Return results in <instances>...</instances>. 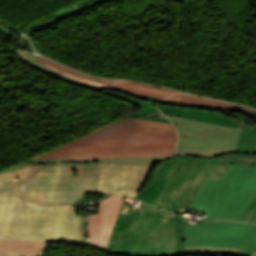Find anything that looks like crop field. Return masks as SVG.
Listing matches in <instances>:
<instances>
[{"instance_id": "crop-field-1", "label": "crop field", "mask_w": 256, "mask_h": 256, "mask_svg": "<svg viewBox=\"0 0 256 256\" xmlns=\"http://www.w3.org/2000/svg\"><path fill=\"white\" fill-rule=\"evenodd\" d=\"M155 165L21 162L0 171V237L28 238L32 204H72L87 192L132 197Z\"/></svg>"}, {"instance_id": "crop-field-2", "label": "crop field", "mask_w": 256, "mask_h": 256, "mask_svg": "<svg viewBox=\"0 0 256 256\" xmlns=\"http://www.w3.org/2000/svg\"><path fill=\"white\" fill-rule=\"evenodd\" d=\"M176 141L173 124L124 119L109 123L36 157L155 156L174 153Z\"/></svg>"}, {"instance_id": "crop-field-3", "label": "crop field", "mask_w": 256, "mask_h": 256, "mask_svg": "<svg viewBox=\"0 0 256 256\" xmlns=\"http://www.w3.org/2000/svg\"><path fill=\"white\" fill-rule=\"evenodd\" d=\"M228 166L215 159H170L159 164L146 189L133 198L171 211L190 202L206 176L219 179Z\"/></svg>"}, {"instance_id": "crop-field-4", "label": "crop field", "mask_w": 256, "mask_h": 256, "mask_svg": "<svg viewBox=\"0 0 256 256\" xmlns=\"http://www.w3.org/2000/svg\"><path fill=\"white\" fill-rule=\"evenodd\" d=\"M256 195V166L231 164L219 180L206 177L189 208L208 214L206 219L239 221Z\"/></svg>"}, {"instance_id": "crop-field-5", "label": "crop field", "mask_w": 256, "mask_h": 256, "mask_svg": "<svg viewBox=\"0 0 256 256\" xmlns=\"http://www.w3.org/2000/svg\"><path fill=\"white\" fill-rule=\"evenodd\" d=\"M185 255L256 253V225L231 221L184 224Z\"/></svg>"}, {"instance_id": "crop-field-6", "label": "crop field", "mask_w": 256, "mask_h": 256, "mask_svg": "<svg viewBox=\"0 0 256 256\" xmlns=\"http://www.w3.org/2000/svg\"><path fill=\"white\" fill-rule=\"evenodd\" d=\"M178 129V156L214 158L228 152L235 153L240 131L248 123L240 121L237 128L166 115Z\"/></svg>"}, {"instance_id": "crop-field-7", "label": "crop field", "mask_w": 256, "mask_h": 256, "mask_svg": "<svg viewBox=\"0 0 256 256\" xmlns=\"http://www.w3.org/2000/svg\"><path fill=\"white\" fill-rule=\"evenodd\" d=\"M29 239L85 243V217L71 205H33Z\"/></svg>"}, {"instance_id": "crop-field-8", "label": "crop field", "mask_w": 256, "mask_h": 256, "mask_svg": "<svg viewBox=\"0 0 256 256\" xmlns=\"http://www.w3.org/2000/svg\"><path fill=\"white\" fill-rule=\"evenodd\" d=\"M175 216L158 209L148 230L133 231L129 256H175Z\"/></svg>"}, {"instance_id": "crop-field-9", "label": "crop field", "mask_w": 256, "mask_h": 256, "mask_svg": "<svg viewBox=\"0 0 256 256\" xmlns=\"http://www.w3.org/2000/svg\"><path fill=\"white\" fill-rule=\"evenodd\" d=\"M124 197H110L99 201V211L88 215V242L99 249L105 250L121 208Z\"/></svg>"}, {"instance_id": "crop-field-10", "label": "crop field", "mask_w": 256, "mask_h": 256, "mask_svg": "<svg viewBox=\"0 0 256 256\" xmlns=\"http://www.w3.org/2000/svg\"><path fill=\"white\" fill-rule=\"evenodd\" d=\"M156 211L157 208L141 203L127 230L112 232L107 251L128 256L132 230L147 229Z\"/></svg>"}, {"instance_id": "crop-field-11", "label": "crop field", "mask_w": 256, "mask_h": 256, "mask_svg": "<svg viewBox=\"0 0 256 256\" xmlns=\"http://www.w3.org/2000/svg\"><path fill=\"white\" fill-rule=\"evenodd\" d=\"M160 103L172 106H189L196 108H203L217 111L218 107L228 109L231 111L241 112L246 115H251L253 110L240 107L238 105L213 101L208 99L199 98L193 95H179L170 97Z\"/></svg>"}, {"instance_id": "crop-field-12", "label": "crop field", "mask_w": 256, "mask_h": 256, "mask_svg": "<svg viewBox=\"0 0 256 256\" xmlns=\"http://www.w3.org/2000/svg\"><path fill=\"white\" fill-rule=\"evenodd\" d=\"M159 109L164 112L170 111V115H176L186 118H192L212 123H217L229 127H236L235 122L236 119H230L222 115L221 113L203 110V109H196V108H189V107H171V106H164L160 105Z\"/></svg>"}, {"instance_id": "crop-field-13", "label": "crop field", "mask_w": 256, "mask_h": 256, "mask_svg": "<svg viewBox=\"0 0 256 256\" xmlns=\"http://www.w3.org/2000/svg\"><path fill=\"white\" fill-rule=\"evenodd\" d=\"M45 241L0 239V256H45Z\"/></svg>"}, {"instance_id": "crop-field-14", "label": "crop field", "mask_w": 256, "mask_h": 256, "mask_svg": "<svg viewBox=\"0 0 256 256\" xmlns=\"http://www.w3.org/2000/svg\"><path fill=\"white\" fill-rule=\"evenodd\" d=\"M172 157H174L173 154L160 155L155 157H118V158H84V159L32 158L28 161L36 164L74 163V162H91V161H114L119 163H160Z\"/></svg>"}, {"instance_id": "crop-field-15", "label": "crop field", "mask_w": 256, "mask_h": 256, "mask_svg": "<svg viewBox=\"0 0 256 256\" xmlns=\"http://www.w3.org/2000/svg\"><path fill=\"white\" fill-rule=\"evenodd\" d=\"M104 93L141 107L142 109L132 114L135 116L146 115V114L158 111L156 108L150 105L161 100V99L151 98V97L119 90L109 86L105 89Z\"/></svg>"}, {"instance_id": "crop-field-16", "label": "crop field", "mask_w": 256, "mask_h": 256, "mask_svg": "<svg viewBox=\"0 0 256 256\" xmlns=\"http://www.w3.org/2000/svg\"><path fill=\"white\" fill-rule=\"evenodd\" d=\"M109 86L161 99H165L171 95L181 93L177 91L165 90L143 84L119 80H111Z\"/></svg>"}, {"instance_id": "crop-field-17", "label": "crop field", "mask_w": 256, "mask_h": 256, "mask_svg": "<svg viewBox=\"0 0 256 256\" xmlns=\"http://www.w3.org/2000/svg\"><path fill=\"white\" fill-rule=\"evenodd\" d=\"M215 159L221 160L226 163H239V164H250V165H256V155L252 154H226L219 156ZM240 221H246V222H255L256 223V197L253 200V202L250 204L248 209L243 214Z\"/></svg>"}, {"instance_id": "crop-field-18", "label": "crop field", "mask_w": 256, "mask_h": 256, "mask_svg": "<svg viewBox=\"0 0 256 256\" xmlns=\"http://www.w3.org/2000/svg\"><path fill=\"white\" fill-rule=\"evenodd\" d=\"M14 52L26 64L32 66L33 68H35V69H37V70H39L41 72H44L46 74L52 75V76H54L56 78H59V79H61L63 81H67V82H69L71 84H74V85H77V86H80V87L88 88V89H91V90H96V91H99L101 93L105 89L103 87L92 86V85H88L86 83L78 82V81H76V80H74L72 78H69V77H67L65 75H62V74H60L58 72H55V71H53V70H51V69H49V68H47V67H45V66H43V65H41L39 63L34 62L36 59H38L39 56H36L34 54H27V53H22V52H16V51H14Z\"/></svg>"}, {"instance_id": "crop-field-19", "label": "crop field", "mask_w": 256, "mask_h": 256, "mask_svg": "<svg viewBox=\"0 0 256 256\" xmlns=\"http://www.w3.org/2000/svg\"><path fill=\"white\" fill-rule=\"evenodd\" d=\"M36 62H39L45 66H48L62 74H65L69 77H72L78 81H82V82H86L88 84H93V85H98V86H103V87H106L107 83H108V80H103V79H95V78H92V77H89V76H86V75H83V74H80V73H77L75 71H72L68 68H65V67H62L56 63H51L43 58H39L38 60H36Z\"/></svg>"}, {"instance_id": "crop-field-20", "label": "crop field", "mask_w": 256, "mask_h": 256, "mask_svg": "<svg viewBox=\"0 0 256 256\" xmlns=\"http://www.w3.org/2000/svg\"><path fill=\"white\" fill-rule=\"evenodd\" d=\"M236 153L256 154V125L253 124L250 130L242 129Z\"/></svg>"}, {"instance_id": "crop-field-21", "label": "crop field", "mask_w": 256, "mask_h": 256, "mask_svg": "<svg viewBox=\"0 0 256 256\" xmlns=\"http://www.w3.org/2000/svg\"><path fill=\"white\" fill-rule=\"evenodd\" d=\"M135 210L136 208L127 207V203L123 202L113 230H125Z\"/></svg>"}, {"instance_id": "crop-field-22", "label": "crop field", "mask_w": 256, "mask_h": 256, "mask_svg": "<svg viewBox=\"0 0 256 256\" xmlns=\"http://www.w3.org/2000/svg\"><path fill=\"white\" fill-rule=\"evenodd\" d=\"M183 217L176 216L175 222H177V252L176 256L184 255V243H183Z\"/></svg>"}, {"instance_id": "crop-field-23", "label": "crop field", "mask_w": 256, "mask_h": 256, "mask_svg": "<svg viewBox=\"0 0 256 256\" xmlns=\"http://www.w3.org/2000/svg\"><path fill=\"white\" fill-rule=\"evenodd\" d=\"M189 204L190 203H188V204H186V205H184V206H182V207H180V208H178V209H176V210H174V211H172V212H174V213H177V214H180V215H183V213L184 212H187L188 211V206H189Z\"/></svg>"}, {"instance_id": "crop-field-24", "label": "crop field", "mask_w": 256, "mask_h": 256, "mask_svg": "<svg viewBox=\"0 0 256 256\" xmlns=\"http://www.w3.org/2000/svg\"><path fill=\"white\" fill-rule=\"evenodd\" d=\"M138 119H147V120H152V121H159V122H168L171 123L168 119H158V118H152V117H146V116H141Z\"/></svg>"}, {"instance_id": "crop-field-25", "label": "crop field", "mask_w": 256, "mask_h": 256, "mask_svg": "<svg viewBox=\"0 0 256 256\" xmlns=\"http://www.w3.org/2000/svg\"><path fill=\"white\" fill-rule=\"evenodd\" d=\"M147 116L159 117V118H166L165 116H163V115L161 114L160 111L155 112V113H152V114H149V115H147Z\"/></svg>"}]
</instances>
